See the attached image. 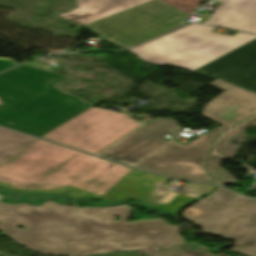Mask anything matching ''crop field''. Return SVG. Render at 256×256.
<instances>
[{
    "label": "crop field",
    "mask_w": 256,
    "mask_h": 256,
    "mask_svg": "<svg viewBox=\"0 0 256 256\" xmlns=\"http://www.w3.org/2000/svg\"><path fill=\"white\" fill-rule=\"evenodd\" d=\"M63 79L26 65L0 74V125L40 137L93 106L53 86Z\"/></svg>",
    "instance_id": "obj_3"
},
{
    "label": "crop field",
    "mask_w": 256,
    "mask_h": 256,
    "mask_svg": "<svg viewBox=\"0 0 256 256\" xmlns=\"http://www.w3.org/2000/svg\"><path fill=\"white\" fill-rule=\"evenodd\" d=\"M182 214L195 226H202L201 233L236 240L230 251L256 256V200L218 187L213 194L197 201Z\"/></svg>",
    "instance_id": "obj_5"
},
{
    "label": "crop field",
    "mask_w": 256,
    "mask_h": 256,
    "mask_svg": "<svg viewBox=\"0 0 256 256\" xmlns=\"http://www.w3.org/2000/svg\"><path fill=\"white\" fill-rule=\"evenodd\" d=\"M211 16H212V14L204 13L197 21L200 22V23H204V22H206Z\"/></svg>",
    "instance_id": "obj_19"
},
{
    "label": "crop field",
    "mask_w": 256,
    "mask_h": 256,
    "mask_svg": "<svg viewBox=\"0 0 256 256\" xmlns=\"http://www.w3.org/2000/svg\"><path fill=\"white\" fill-rule=\"evenodd\" d=\"M221 1H224V0H221Z\"/></svg>",
    "instance_id": "obj_21"
},
{
    "label": "crop field",
    "mask_w": 256,
    "mask_h": 256,
    "mask_svg": "<svg viewBox=\"0 0 256 256\" xmlns=\"http://www.w3.org/2000/svg\"><path fill=\"white\" fill-rule=\"evenodd\" d=\"M189 16L160 0H154L83 28L126 49L187 24L184 21Z\"/></svg>",
    "instance_id": "obj_6"
},
{
    "label": "crop field",
    "mask_w": 256,
    "mask_h": 256,
    "mask_svg": "<svg viewBox=\"0 0 256 256\" xmlns=\"http://www.w3.org/2000/svg\"><path fill=\"white\" fill-rule=\"evenodd\" d=\"M224 157L211 154L209 157L208 171L220 183L227 184L236 182L233 175L220 167V161Z\"/></svg>",
    "instance_id": "obj_16"
},
{
    "label": "crop field",
    "mask_w": 256,
    "mask_h": 256,
    "mask_svg": "<svg viewBox=\"0 0 256 256\" xmlns=\"http://www.w3.org/2000/svg\"><path fill=\"white\" fill-rule=\"evenodd\" d=\"M208 24L256 34V0H227Z\"/></svg>",
    "instance_id": "obj_12"
},
{
    "label": "crop field",
    "mask_w": 256,
    "mask_h": 256,
    "mask_svg": "<svg viewBox=\"0 0 256 256\" xmlns=\"http://www.w3.org/2000/svg\"><path fill=\"white\" fill-rule=\"evenodd\" d=\"M149 1L151 0H78L76 1L78 7L73 9V12L63 15H82L85 18L79 21L89 23Z\"/></svg>",
    "instance_id": "obj_13"
},
{
    "label": "crop field",
    "mask_w": 256,
    "mask_h": 256,
    "mask_svg": "<svg viewBox=\"0 0 256 256\" xmlns=\"http://www.w3.org/2000/svg\"><path fill=\"white\" fill-rule=\"evenodd\" d=\"M229 128L230 127L222 125L216 129L208 132L207 134L197 138V140L194 143L187 144L183 147H186L192 151H195L199 154H202V155L208 157L209 152L216 140L217 135L224 132L225 130H227ZM172 142H174V141H172ZM174 143H176V142H174ZM176 144H178V143H176Z\"/></svg>",
    "instance_id": "obj_15"
},
{
    "label": "crop field",
    "mask_w": 256,
    "mask_h": 256,
    "mask_svg": "<svg viewBox=\"0 0 256 256\" xmlns=\"http://www.w3.org/2000/svg\"><path fill=\"white\" fill-rule=\"evenodd\" d=\"M207 158L170 142L135 167L180 179L217 184L206 172Z\"/></svg>",
    "instance_id": "obj_8"
},
{
    "label": "crop field",
    "mask_w": 256,
    "mask_h": 256,
    "mask_svg": "<svg viewBox=\"0 0 256 256\" xmlns=\"http://www.w3.org/2000/svg\"><path fill=\"white\" fill-rule=\"evenodd\" d=\"M130 212L128 206L76 208L54 201L41 206L0 201V231L25 248L54 256L184 244L178 229L161 219L126 223ZM115 216L121 221L114 222Z\"/></svg>",
    "instance_id": "obj_1"
},
{
    "label": "crop field",
    "mask_w": 256,
    "mask_h": 256,
    "mask_svg": "<svg viewBox=\"0 0 256 256\" xmlns=\"http://www.w3.org/2000/svg\"><path fill=\"white\" fill-rule=\"evenodd\" d=\"M213 27L190 25L157 40L129 50L147 63L195 70L204 64L256 39L237 32L232 37L210 32Z\"/></svg>",
    "instance_id": "obj_4"
},
{
    "label": "crop field",
    "mask_w": 256,
    "mask_h": 256,
    "mask_svg": "<svg viewBox=\"0 0 256 256\" xmlns=\"http://www.w3.org/2000/svg\"><path fill=\"white\" fill-rule=\"evenodd\" d=\"M141 125L125 113L92 107L41 138L96 154Z\"/></svg>",
    "instance_id": "obj_7"
},
{
    "label": "crop field",
    "mask_w": 256,
    "mask_h": 256,
    "mask_svg": "<svg viewBox=\"0 0 256 256\" xmlns=\"http://www.w3.org/2000/svg\"><path fill=\"white\" fill-rule=\"evenodd\" d=\"M177 126L174 119L156 118L98 155L131 165L166 144L161 138Z\"/></svg>",
    "instance_id": "obj_9"
},
{
    "label": "crop field",
    "mask_w": 256,
    "mask_h": 256,
    "mask_svg": "<svg viewBox=\"0 0 256 256\" xmlns=\"http://www.w3.org/2000/svg\"><path fill=\"white\" fill-rule=\"evenodd\" d=\"M132 170L37 139L0 166V187L100 199Z\"/></svg>",
    "instance_id": "obj_2"
},
{
    "label": "crop field",
    "mask_w": 256,
    "mask_h": 256,
    "mask_svg": "<svg viewBox=\"0 0 256 256\" xmlns=\"http://www.w3.org/2000/svg\"><path fill=\"white\" fill-rule=\"evenodd\" d=\"M2 235H4V234H0V236H2Z\"/></svg>",
    "instance_id": "obj_20"
},
{
    "label": "crop field",
    "mask_w": 256,
    "mask_h": 256,
    "mask_svg": "<svg viewBox=\"0 0 256 256\" xmlns=\"http://www.w3.org/2000/svg\"><path fill=\"white\" fill-rule=\"evenodd\" d=\"M210 85L226 92L203 108L204 116L232 127L256 113V94L219 80Z\"/></svg>",
    "instance_id": "obj_11"
},
{
    "label": "crop field",
    "mask_w": 256,
    "mask_h": 256,
    "mask_svg": "<svg viewBox=\"0 0 256 256\" xmlns=\"http://www.w3.org/2000/svg\"><path fill=\"white\" fill-rule=\"evenodd\" d=\"M16 65L18 64L11 60L0 59V72Z\"/></svg>",
    "instance_id": "obj_18"
},
{
    "label": "crop field",
    "mask_w": 256,
    "mask_h": 256,
    "mask_svg": "<svg viewBox=\"0 0 256 256\" xmlns=\"http://www.w3.org/2000/svg\"><path fill=\"white\" fill-rule=\"evenodd\" d=\"M36 138L0 128V165Z\"/></svg>",
    "instance_id": "obj_14"
},
{
    "label": "crop field",
    "mask_w": 256,
    "mask_h": 256,
    "mask_svg": "<svg viewBox=\"0 0 256 256\" xmlns=\"http://www.w3.org/2000/svg\"><path fill=\"white\" fill-rule=\"evenodd\" d=\"M256 93V40L195 70Z\"/></svg>",
    "instance_id": "obj_10"
},
{
    "label": "crop field",
    "mask_w": 256,
    "mask_h": 256,
    "mask_svg": "<svg viewBox=\"0 0 256 256\" xmlns=\"http://www.w3.org/2000/svg\"><path fill=\"white\" fill-rule=\"evenodd\" d=\"M247 126H256V117H254V118H252L251 120L245 122L244 124L240 125V126L237 127L236 129H234V130H232V131H230V132L224 134V135L221 137V139H220V141H219V143H218V145H217V147H216L214 153H216V154L221 153L222 150H223V146H224L226 140H227L229 137L233 136L234 134H236V133H238V132H240V131L246 129Z\"/></svg>",
    "instance_id": "obj_17"
}]
</instances>
